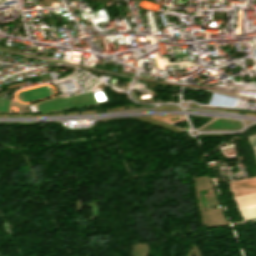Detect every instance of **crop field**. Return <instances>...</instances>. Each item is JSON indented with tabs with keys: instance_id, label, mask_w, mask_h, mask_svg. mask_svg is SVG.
<instances>
[{
	"instance_id": "8a807250",
	"label": "crop field",
	"mask_w": 256,
	"mask_h": 256,
	"mask_svg": "<svg viewBox=\"0 0 256 256\" xmlns=\"http://www.w3.org/2000/svg\"><path fill=\"white\" fill-rule=\"evenodd\" d=\"M256 154V137L249 138ZM234 196H241L256 192V178L228 183ZM238 208L256 205V193L235 198ZM244 221L256 218V206L239 210Z\"/></svg>"
}]
</instances>
